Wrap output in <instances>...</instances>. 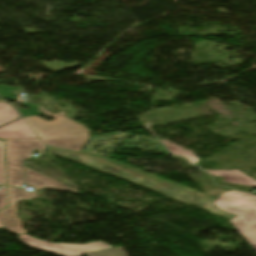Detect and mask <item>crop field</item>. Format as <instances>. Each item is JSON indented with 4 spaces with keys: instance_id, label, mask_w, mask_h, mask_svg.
<instances>
[{
    "instance_id": "1",
    "label": "crop field",
    "mask_w": 256,
    "mask_h": 256,
    "mask_svg": "<svg viewBox=\"0 0 256 256\" xmlns=\"http://www.w3.org/2000/svg\"><path fill=\"white\" fill-rule=\"evenodd\" d=\"M43 114L56 118L50 122L38 116L24 117L38 138L46 145L80 152L90 138L89 130L83 125L64 117L67 112L52 114L42 106H38ZM62 145L63 147H58Z\"/></svg>"
},
{
    "instance_id": "2",
    "label": "crop field",
    "mask_w": 256,
    "mask_h": 256,
    "mask_svg": "<svg viewBox=\"0 0 256 256\" xmlns=\"http://www.w3.org/2000/svg\"><path fill=\"white\" fill-rule=\"evenodd\" d=\"M213 203L217 208L238 215L230 222L256 251V196L231 191L224 193Z\"/></svg>"
},
{
    "instance_id": "3",
    "label": "crop field",
    "mask_w": 256,
    "mask_h": 256,
    "mask_svg": "<svg viewBox=\"0 0 256 256\" xmlns=\"http://www.w3.org/2000/svg\"><path fill=\"white\" fill-rule=\"evenodd\" d=\"M5 144L8 185L21 186L24 184L23 160L32 158L34 149L42 155L43 150L47 148L39 139L5 140Z\"/></svg>"
},
{
    "instance_id": "4",
    "label": "crop field",
    "mask_w": 256,
    "mask_h": 256,
    "mask_svg": "<svg viewBox=\"0 0 256 256\" xmlns=\"http://www.w3.org/2000/svg\"><path fill=\"white\" fill-rule=\"evenodd\" d=\"M18 237L21 241L25 242L32 248L52 252L60 256H82V253L111 247L102 241L78 245L64 243H48L40 241L29 235H20Z\"/></svg>"
},
{
    "instance_id": "5",
    "label": "crop field",
    "mask_w": 256,
    "mask_h": 256,
    "mask_svg": "<svg viewBox=\"0 0 256 256\" xmlns=\"http://www.w3.org/2000/svg\"><path fill=\"white\" fill-rule=\"evenodd\" d=\"M39 191L37 193L29 191L25 192L18 187H8L9 194V208L0 211V219L3 224L4 229L16 233V234H26L27 232L22 229V223L20 218H17V208L16 203L20 199L30 200L37 198Z\"/></svg>"
},
{
    "instance_id": "6",
    "label": "crop field",
    "mask_w": 256,
    "mask_h": 256,
    "mask_svg": "<svg viewBox=\"0 0 256 256\" xmlns=\"http://www.w3.org/2000/svg\"><path fill=\"white\" fill-rule=\"evenodd\" d=\"M25 185L31 186L35 189L41 190L43 188L58 189L72 191L79 193L78 191L52 179L45 177L42 174L25 166Z\"/></svg>"
},
{
    "instance_id": "7",
    "label": "crop field",
    "mask_w": 256,
    "mask_h": 256,
    "mask_svg": "<svg viewBox=\"0 0 256 256\" xmlns=\"http://www.w3.org/2000/svg\"><path fill=\"white\" fill-rule=\"evenodd\" d=\"M37 138L24 119L0 128V139Z\"/></svg>"
},
{
    "instance_id": "8",
    "label": "crop field",
    "mask_w": 256,
    "mask_h": 256,
    "mask_svg": "<svg viewBox=\"0 0 256 256\" xmlns=\"http://www.w3.org/2000/svg\"><path fill=\"white\" fill-rule=\"evenodd\" d=\"M212 176L223 177L225 182L236 183L244 186H254L256 187V181L252 178H248L244 173L234 170V171H210L206 170Z\"/></svg>"
},
{
    "instance_id": "9",
    "label": "crop field",
    "mask_w": 256,
    "mask_h": 256,
    "mask_svg": "<svg viewBox=\"0 0 256 256\" xmlns=\"http://www.w3.org/2000/svg\"><path fill=\"white\" fill-rule=\"evenodd\" d=\"M166 148L173 154L177 156H184L187 160H189L191 163L196 164L199 159L196 158L191 151H186L178 146L172 145L166 141H161ZM194 159V161H192Z\"/></svg>"
},
{
    "instance_id": "10",
    "label": "crop field",
    "mask_w": 256,
    "mask_h": 256,
    "mask_svg": "<svg viewBox=\"0 0 256 256\" xmlns=\"http://www.w3.org/2000/svg\"><path fill=\"white\" fill-rule=\"evenodd\" d=\"M17 112L9 105L0 103V125L18 118Z\"/></svg>"
},
{
    "instance_id": "11",
    "label": "crop field",
    "mask_w": 256,
    "mask_h": 256,
    "mask_svg": "<svg viewBox=\"0 0 256 256\" xmlns=\"http://www.w3.org/2000/svg\"><path fill=\"white\" fill-rule=\"evenodd\" d=\"M120 255H122V252L114 248L83 254V256H120Z\"/></svg>"
},
{
    "instance_id": "12",
    "label": "crop field",
    "mask_w": 256,
    "mask_h": 256,
    "mask_svg": "<svg viewBox=\"0 0 256 256\" xmlns=\"http://www.w3.org/2000/svg\"><path fill=\"white\" fill-rule=\"evenodd\" d=\"M0 185H6L3 158V142L0 140Z\"/></svg>"
},
{
    "instance_id": "13",
    "label": "crop field",
    "mask_w": 256,
    "mask_h": 256,
    "mask_svg": "<svg viewBox=\"0 0 256 256\" xmlns=\"http://www.w3.org/2000/svg\"><path fill=\"white\" fill-rule=\"evenodd\" d=\"M7 207L6 187L0 186V210Z\"/></svg>"
},
{
    "instance_id": "14",
    "label": "crop field",
    "mask_w": 256,
    "mask_h": 256,
    "mask_svg": "<svg viewBox=\"0 0 256 256\" xmlns=\"http://www.w3.org/2000/svg\"><path fill=\"white\" fill-rule=\"evenodd\" d=\"M26 105L30 106L31 110H22V109H19L20 112L23 114V116L42 114V113H36L37 111L35 112V110L38 109L35 104L27 103Z\"/></svg>"
},
{
    "instance_id": "15",
    "label": "crop field",
    "mask_w": 256,
    "mask_h": 256,
    "mask_svg": "<svg viewBox=\"0 0 256 256\" xmlns=\"http://www.w3.org/2000/svg\"><path fill=\"white\" fill-rule=\"evenodd\" d=\"M18 88H6L4 86H0V96L3 97L4 99H8L12 96H14L9 90H15Z\"/></svg>"
},
{
    "instance_id": "16",
    "label": "crop field",
    "mask_w": 256,
    "mask_h": 256,
    "mask_svg": "<svg viewBox=\"0 0 256 256\" xmlns=\"http://www.w3.org/2000/svg\"><path fill=\"white\" fill-rule=\"evenodd\" d=\"M0 228H3L1 222H0Z\"/></svg>"
}]
</instances>
